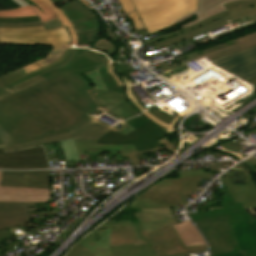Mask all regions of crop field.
<instances>
[{
	"instance_id": "obj_1",
	"label": "crop field",
	"mask_w": 256,
	"mask_h": 256,
	"mask_svg": "<svg viewBox=\"0 0 256 256\" xmlns=\"http://www.w3.org/2000/svg\"><path fill=\"white\" fill-rule=\"evenodd\" d=\"M92 88L83 74L66 75L33 85L1 101L12 102L50 134L71 128L99 108L86 92Z\"/></svg>"
},
{
	"instance_id": "obj_2",
	"label": "crop field",
	"mask_w": 256,
	"mask_h": 256,
	"mask_svg": "<svg viewBox=\"0 0 256 256\" xmlns=\"http://www.w3.org/2000/svg\"><path fill=\"white\" fill-rule=\"evenodd\" d=\"M228 196H221L222 210L190 214L191 219L205 233L211 254L239 252L230 225L251 223L241 203L234 204L225 185Z\"/></svg>"
},
{
	"instance_id": "obj_3",
	"label": "crop field",
	"mask_w": 256,
	"mask_h": 256,
	"mask_svg": "<svg viewBox=\"0 0 256 256\" xmlns=\"http://www.w3.org/2000/svg\"><path fill=\"white\" fill-rule=\"evenodd\" d=\"M179 179H162L152 186L127 207L133 208H166L187 205L185 197L192 194L202 178L210 181L211 174L203 169L178 171Z\"/></svg>"
},
{
	"instance_id": "obj_4",
	"label": "crop field",
	"mask_w": 256,
	"mask_h": 256,
	"mask_svg": "<svg viewBox=\"0 0 256 256\" xmlns=\"http://www.w3.org/2000/svg\"><path fill=\"white\" fill-rule=\"evenodd\" d=\"M68 132L71 131L48 135L9 101L4 104L0 102V146L27 143Z\"/></svg>"
},
{
	"instance_id": "obj_5",
	"label": "crop field",
	"mask_w": 256,
	"mask_h": 256,
	"mask_svg": "<svg viewBox=\"0 0 256 256\" xmlns=\"http://www.w3.org/2000/svg\"><path fill=\"white\" fill-rule=\"evenodd\" d=\"M135 7L150 34L175 25L174 20L196 10L197 0H155Z\"/></svg>"
},
{
	"instance_id": "obj_6",
	"label": "crop field",
	"mask_w": 256,
	"mask_h": 256,
	"mask_svg": "<svg viewBox=\"0 0 256 256\" xmlns=\"http://www.w3.org/2000/svg\"><path fill=\"white\" fill-rule=\"evenodd\" d=\"M124 123L127 125L121 131L113 127L112 131L106 133L98 141H79L94 144H134L137 151L161 146L155 139H159L164 134L143 116L129 119Z\"/></svg>"
},
{
	"instance_id": "obj_7",
	"label": "crop field",
	"mask_w": 256,
	"mask_h": 256,
	"mask_svg": "<svg viewBox=\"0 0 256 256\" xmlns=\"http://www.w3.org/2000/svg\"><path fill=\"white\" fill-rule=\"evenodd\" d=\"M139 245L132 228L94 231L78 242L66 256H112L111 246Z\"/></svg>"
},
{
	"instance_id": "obj_8",
	"label": "crop field",
	"mask_w": 256,
	"mask_h": 256,
	"mask_svg": "<svg viewBox=\"0 0 256 256\" xmlns=\"http://www.w3.org/2000/svg\"><path fill=\"white\" fill-rule=\"evenodd\" d=\"M108 64H111L110 60L102 54L92 50L77 48L71 57L60 66L37 75L9 90L1 92L5 93L7 91H11L8 94L1 95L0 99L36 83H40L61 75L84 73Z\"/></svg>"
},
{
	"instance_id": "obj_9",
	"label": "crop field",
	"mask_w": 256,
	"mask_h": 256,
	"mask_svg": "<svg viewBox=\"0 0 256 256\" xmlns=\"http://www.w3.org/2000/svg\"><path fill=\"white\" fill-rule=\"evenodd\" d=\"M225 7L227 11L212 16L199 24L181 30V32L184 34L176 35L167 40L157 42L159 48L202 35V32L208 29L213 31L240 18L256 15V0L237 1L226 4Z\"/></svg>"
},
{
	"instance_id": "obj_10",
	"label": "crop field",
	"mask_w": 256,
	"mask_h": 256,
	"mask_svg": "<svg viewBox=\"0 0 256 256\" xmlns=\"http://www.w3.org/2000/svg\"><path fill=\"white\" fill-rule=\"evenodd\" d=\"M0 43L53 46L54 49L69 48L70 36L64 26L45 31L43 26L31 28H0Z\"/></svg>"
},
{
	"instance_id": "obj_11",
	"label": "crop field",
	"mask_w": 256,
	"mask_h": 256,
	"mask_svg": "<svg viewBox=\"0 0 256 256\" xmlns=\"http://www.w3.org/2000/svg\"><path fill=\"white\" fill-rule=\"evenodd\" d=\"M94 113L89 115L79 123H77L71 129H69L72 131L71 133L40 140V141H35L27 144L7 146L5 147V150L6 152H8V151H13V150H18V149H23L28 147L40 146V145H45V144H49L57 141H63L73 137H78L79 139H84V140H98L103 134H105L107 131L113 128L97 120L96 118L98 117V115Z\"/></svg>"
},
{
	"instance_id": "obj_12",
	"label": "crop field",
	"mask_w": 256,
	"mask_h": 256,
	"mask_svg": "<svg viewBox=\"0 0 256 256\" xmlns=\"http://www.w3.org/2000/svg\"><path fill=\"white\" fill-rule=\"evenodd\" d=\"M75 49L51 51L39 61L19 68L0 77V82L8 89L37 74L47 71L67 60Z\"/></svg>"
},
{
	"instance_id": "obj_13",
	"label": "crop field",
	"mask_w": 256,
	"mask_h": 256,
	"mask_svg": "<svg viewBox=\"0 0 256 256\" xmlns=\"http://www.w3.org/2000/svg\"><path fill=\"white\" fill-rule=\"evenodd\" d=\"M132 225L139 244H151L158 256L207 249L206 246L184 249L171 227L144 235L140 223H132Z\"/></svg>"
},
{
	"instance_id": "obj_14",
	"label": "crop field",
	"mask_w": 256,
	"mask_h": 256,
	"mask_svg": "<svg viewBox=\"0 0 256 256\" xmlns=\"http://www.w3.org/2000/svg\"><path fill=\"white\" fill-rule=\"evenodd\" d=\"M0 169H49L43 146L5 153L0 147Z\"/></svg>"
},
{
	"instance_id": "obj_15",
	"label": "crop field",
	"mask_w": 256,
	"mask_h": 256,
	"mask_svg": "<svg viewBox=\"0 0 256 256\" xmlns=\"http://www.w3.org/2000/svg\"><path fill=\"white\" fill-rule=\"evenodd\" d=\"M216 66L251 80L256 77V46L211 60Z\"/></svg>"
},
{
	"instance_id": "obj_16",
	"label": "crop field",
	"mask_w": 256,
	"mask_h": 256,
	"mask_svg": "<svg viewBox=\"0 0 256 256\" xmlns=\"http://www.w3.org/2000/svg\"><path fill=\"white\" fill-rule=\"evenodd\" d=\"M36 210V204L0 203V243L18 236L7 228L32 222L28 212Z\"/></svg>"
},
{
	"instance_id": "obj_17",
	"label": "crop field",
	"mask_w": 256,
	"mask_h": 256,
	"mask_svg": "<svg viewBox=\"0 0 256 256\" xmlns=\"http://www.w3.org/2000/svg\"><path fill=\"white\" fill-rule=\"evenodd\" d=\"M88 93L100 106L99 109L115 116L120 120H125L137 114H140L131 106V104L122 94L98 89L90 90L88 91Z\"/></svg>"
},
{
	"instance_id": "obj_18",
	"label": "crop field",
	"mask_w": 256,
	"mask_h": 256,
	"mask_svg": "<svg viewBox=\"0 0 256 256\" xmlns=\"http://www.w3.org/2000/svg\"><path fill=\"white\" fill-rule=\"evenodd\" d=\"M44 1L54 9L58 17L53 21L44 23V27L46 30L96 17L87 7L77 1H73L60 8L55 7L53 4L58 3L61 0Z\"/></svg>"
},
{
	"instance_id": "obj_19",
	"label": "crop field",
	"mask_w": 256,
	"mask_h": 256,
	"mask_svg": "<svg viewBox=\"0 0 256 256\" xmlns=\"http://www.w3.org/2000/svg\"><path fill=\"white\" fill-rule=\"evenodd\" d=\"M0 186L50 189L48 171H2Z\"/></svg>"
},
{
	"instance_id": "obj_20",
	"label": "crop field",
	"mask_w": 256,
	"mask_h": 256,
	"mask_svg": "<svg viewBox=\"0 0 256 256\" xmlns=\"http://www.w3.org/2000/svg\"><path fill=\"white\" fill-rule=\"evenodd\" d=\"M48 199L50 190L0 187V202L48 203Z\"/></svg>"
},
{
	"instance_id": "obj_21",
	"label": "crop field",
	"mask_w": 256,
	"mask_h": 256,
	"mask_svg": "<svg viewBox=\"0 0 256 256\" xmlns=\"http://www.w3.org/2000/svg\"><path fill=\"white\" fill-rule=\"evenodd\" d=\"M95 88L124 94L121 78L114 72V64L84 73Z\"/></svg>"
},
{
	"instance_id": "obj_22",
	"label": "crop field",
	"mask_w": 256,
	"mask_h": 256,
	"mask_svg": "<svg viewBox=\"0 0 256 256\" xmlns=\"http://www.w3.org/2000/svg\"><path fill=\"white\" fill-rule=\"evenodd\" d=\"M134 215L141 222L145 234L176 225L169 208L141 209L140 212H136Z\"/></svg>"
},
{
	"instance_id": "obj_23",
	"label": "crop field",
	"mask_w": 256,
	"mask_h": 256,
	"mask_svg": "<svg viewBox=\"0 0 256 256\" xmlns=\"http://www.w3.org/2000/svg\"><path fill=\"white\" fill-rule=\"evenodd\" d=\"M61 143L66 161H80L79 154L82 151H119L123 148L135 149L133 145H94L79 143L77 138L66 140Z\"/></svg>"
},
{
	"instance_id": "obj_24",
	"label": "crop field",
	"mask_w": 256,
	"mask_h": 256,
	"mask_svg": "<svg viewBox=\"0 0 256 256\" xmlns=\"http://www.w3.org/2000/svg\"><path fill=\"white\" fill-rule=\"evenodd\" d=\"M252 224L232 226L240 253L216 254L211 256H244L242 251L256 248V220Z\"/></svg>"
},
{
	"instance_id": "obj_25",
	"label": "crop field",
	"mask_w": 256,
	"mask_h": 256,
	"mask_svg": "<svg viewBox=\"0 0 256 256\" xmlns=\"http://www.w3.org/2000/svg\"><path fill=\"white\" fill-rule=\"evenodd\" d=\"M246 179L247 185L239 186L231 184L228 177L224 178L235 203L241 202L245 207L256 206V180L252 174Z\"/></svg>"
},
{
	"instance_id": "obj_26",
	"label": "crop field",
	"mask_w": 256,
	"mask_h": 256,
	"mask_svg": "<svg viewBox=\"0 0 256 256\" xmlns=\"http://www.w3.org/2000/svg\"><path fill=\"white\" fill-rule=\"evenodd\" d=\"M172 229L184 248L200 247L206 245L200 233L189 221L182 222L176 226H172Z\"/></svg>"
},
{
	"instance_id": "obj_27",
	"label": "crop field",
	"mask_w": 256,
	"mask_h": 256,
	"mask_svg": "<svg viewBox=\"0 0 256 256\" xmlns=\"http://www.w3.org/2000/svg\"><path fill=\"white\" fill-rule=\"evenodd\" d=\"M254 45H256V36L252 37L250 39H247L245 41H242L238 44L229 46L227 48H222V49H219L217 51L209 52V53L204 54V55H200V56H197V57H194V58H191V59H187V60L181 61L177 64L171 65V66H168L166 62L160 63L159 65H160L162 71H166V70H169V69L179 67L183 63H186V62H189V61H192V60H196V59H199V58H202V57H205V56H207L208 59L210 60V59H213V58L225 55V54H229V53H232V52L244 50V49L249 48V47L254 46Z\"/></svg>"
},
{
	"instance_id": "obj_28",
	"label": "crop field",
	"mask_w": 256,
	"mask_h": 256,
	"mask_svg": "<svg viewBox=\"0 0 256 256\" xmlns=\"http://www.w3.org/2000/svg\"><path fill=\"white\" fill-rule=\"evenodd\" d=\"M144 113L148 118H150L156 125H158L166 133L172 132V128L176 120H178V118L180 117L179 115H173L170 117L166 113L158 110L154 105Z\"/></svg>"
},
{
	"instance_id": "obj_29",
	"label": "crop field",
	"mask_w": 256,
	"mask_h": 256,
	"mask_svg": "<svg viewBox=\"0 0 256 256\" xmlns=\"http://www.w3.org/2000/svg\"><path fill=\"white\" fill-rule=\"evenodd\" d=\"M204 251L169 255V256H180L186 254H196ZM113 256H156L155 252L150 245L145 246H128V247H112Z\"/></svg>"
},
{
	"instance_id": "obj_30",
	"label": "crop field",
	"mask_w": 256,
	"mask_h": 256,
	"mask_svg": "<svg viewBox=\"0 0 256 256\" xmlns=\"http://www.w3.org/2000/svg\"><path fill=\"white\" fill-rule=\"evenodd\" d=\"M29 1L35 4L32 7L42 18L43 22L50 21L56 18V15L53 12L52 8L48 4H46L44 1L42 0H29Z\"/></svg>"
},
{
	"instance_id": "obj_31",
	"label": "crop field",
	"mask_w": 256,
	"mask_h": 256,
	"mask_svg": "<svg viewBox=\"0 0 256 256\" xmlns=\"http://www.w3.org/2000/svg\"><path fill=\"white\" fill-rule=\"evenodd\" d=\"M233 1H237V0H225V1L215 5L213 7L203 11L202 13L196 15L199 19H197V20H195V21H193L191 23H188L186 25H183V26H181V28L183 29V28H185L187 26L196 24V23H198V22H200V21L210 17L211 15L218 14V13H220L222 11H225L226 9H225L223 4L230 3V2H233Z\"/></svg>"
},
{
	"instance_id": "obj_32",
	"label": "crop field",
	"mask_w": 256,
	"mask_h": 256,
	"mask_svg": "<svg viewBox=\"0 0 256 256\" xmlns=\"http://www.w3.org/2000/svg\"><path fill=\"white\" fill-rule=\"evenodd\" d=\"M242 142H245V141H243L242 139L236 137V138H234V139H232V140H230V141H228V142H226V143L216 147L215 149H219V150H222V151H226V152L232 153V154L236 155L238 158H240L242 160V159L245 158L244 156H242L239 153V151L243 149L242 148L243 147L242 144H240Z\"/></svg>"
},
{
	"instance_id": "obj_33",
	"label": "crop field",
	"mask_w": 256,
	"mask_h": 256,
	"mask_svg": "<svg viewBox=\"0 0 256 256\" xmlns=\"http://www.w3.org/2000/svg\"><path fill=\"white\" fill-rule=\"evenodd\" d=\"M36 12L30 7L19 8L11 11H0V17L34 16Z\"/></svg>"
},
{
	"instance_id": "obj_34",
	"label": "crop field",
	"mask_w": 256,
	"mask_h": 256,
	"mask_svg": "<svg viewBox=\"0 0 256 256\" xmlns=\"http://www.w3.org/2000/svg\"><path fill=\"white\" fill-rule=\"evenodd\" d=\"M221 1H223V0H198V10L189 14V15H187V16H185V17H183V18H181V19H179V20H177V21H175V23L178 24V23H180V22H182V21L200 13L201 11H203V10L207 9L208 7L214 5L218 2H221Z\"/></svg>"
},
{
	"instance_id": "obj_35",
	"label": "crop field",
	"mask_w": 256,
	"mask_h": 256,
	"mask_svg": "<svg viewBox=\"0 0 256 256\" xmlns=\"http://www.w3.org/2000/svg\"><path fill=\"white\" fill-rule=\"evenodd\" d=\"M98 30L99 28L78 33L77 35H78L80 44L92 43L95 40V38H97Z\"/></svg>"
},
{
	"instance_id": "obj_36",
	"label": "crop field",
	"mask_w": 256,
	"mask_h": 256,
	"mask_svg": "<svg viewBox=\"0 0 256 256\" xmlns=\"http://www.w3.org/2000/svg\"><path fill=\"white\" fill-rule=\"evenodd\" d=\"M127 66L128 65L115 64V72L123 79L125 87L134 84L128 76L130 74L127 71Z\"/></svg>"
},
{
	"instance_id": "obj_37",
	"label": "crop field",
	"mask_w": 256,
	"mask_h": 256,
	"mask_svg": "<svg viewBox=\"0 0 256 256\" xmlns=\"http://www.w3.org/2000/svg\"><path fill=\"white\" fill-rule=\"evenodd\" d=\"M131 86L125 88V96L130 101L132 106L137 109L140 113L144 111V107L142 106L141 102H139L138 97L133 93V91L130 89Z\"/></svg>"
},
{
	"instance_id": "obj_38",
	"label": "crop field",
	"mask_w": 256,
	"mask_h": 256,
	"mask_svg": "<svg viewBox=\"0 0 256 256\" xmlns=\"http://www.w3.org/2000/svg\"><path fill=\"white\" fill-rule=\"evenodd\" d=\"M40 20L38 16L35 17H21V18H0V23H22Z\"/></svg>"
},
{
	"instance_id": "obj_39",
	"label": "crop field",
	"mask_w": 256,
	"mask_h": 256,
	"mask_svg": "<svg viewBox=\"0 0 256 256\" xmlns=\"http://www.w3.org/2000/svg\"><path fill=\"white\" fill-rule=\"evenodd\" d=\"M132 227L131 221L106 222L95 230L103 228Z\"/></svg>"
},
{
	"instance_id": "obj_40",
	"label": "crop field",
	"mask_w": 256,
	"mask_h": 256,
	"mask_svg": "<svg viewBox=\"0 0 256 256\" xmlns=\"http://www.w3.org/2000/svg\"><path fill=\"white\" fill-rule=\"evenodd\" d=\"M43 25L42 21L32 22V23H22V24H0V27H30V26H39Z\"/></svg>"
},
{
	"instance_id": "obj_41",
	"label": "crop field",
	"mask_w": 256,
	"mask_h": 256,
	"mask_svg": "<svg viewBox=\"0 0 256 256\" xmlns=\"http://www.w3.org/2000/svg\"><path fill=\"white\" fill-rule=\"evenodd\" d=\"M129 16L133 22L134 29L143 28V25L136 12L131 13Z\"/></svg>"
},
{
	"instance_id": "obj_42",
	"label": "crop field",
	"mask_w": 256,
	"mask_h": 256,
	"mask_svg": "<svg viewBox=\"0 0 256 256\" xmlns=\"http://www.w3.org/2000/svg\"><path fill=\"white\" fill-rule=\"evenodd\" d=\"M229 179L233 184L246 185L247 183L245 176L229 177Z\"/></svg>"
},
{
	"instance_id": "obj_43",
	"label": "crop field",
	"mask_w": 256,
	"mask_h": 256,
	"mask_svg": "<svg viewBox=\"0 0 256 256\" xmlns=\"http://www.w3.org/2000/svg\"><path fill=\"white\" fill-rule=\"evenodd\" d=\"M125 11L126 12H131V11H134L135 8L134 6L132 5L131 1L130 0H120Z\"/></svg>"
},
{
	"instance_id": "obj_44",
	"label": "crop field",
	"mask_w": 256,
	"mask_h": 256,
	"mask_svg": "<svg viewBox=\"0 0 256 256\" xmlns=\"http://www.w3.org/2000/svg\"><path fill=\"white\" fill-rule=\"evenodd\" d=\"M245 210L251 220L256 219V207L245 208Z\"/></svg>"
},
{
	"instance_id": "obj_45",
	"label": "crop field",
	"mask_w": 256,
	"mask_h": 256,
	"mask_svg": "<svg viewBox=\"0 0 256 256\" xmlns=\"http://www.w3.org/2000/svg\"><path fill=\"white\" fill-rule=\"evenodd\" d=\"M244 162H245V164L251 166V165H255V164H256V159H255L254 156H253V157H251V158L245 160Z\"/></svg>"
},
{
	"instance_id": "obj_46",
	"label": "crop field",
	"mask_w": 256,
	"mask_h": 256,
	"mask_svg": "<svg viewBox=\"0 0 256 256\" xmlns=\"http://www.w3.org/2000/svg\"><path fill=\"white\" fill-rule=\"evenodd\" d=\"M245 256H256V249L250 250V251H245Z\"/></svg>"
},
{
	"instance_id": "obj_47",
	"label": "crop field",
	"mask_w": 256,
	"mask_h": 256,
	"mask_svg": "<svg viewBox=\"0 0 256 256\" xmlns=\"http://www.w3.org/2000/svg\"><path fill=\"white\" fill-rule=\"evenodd\" d=\"M15 3H17L19 6H27L28 4L24 2L23 0H13Z\"/></svg>"
},
{
	"instance_id": "obj_48",
	"label": "crop field",
	"mask_w": 256,
	"mask_h": 256,
	"mask_svg": "<svg viewBox=\"0 0 256 256\" xmlns=\"http://www.w3.org/2000/svg\"><path fill=\"white\" fill-rule=\"evenodd\" d=\"M134 2V4H140V3H143V2H147V1H151V0H132Z\"/></svg>"
},
{
	"instance_id": "obj_49",
	"label": "crop field",
	"mask_w": 256,
	"mask_h": 256,
	"mask_svg": "<svg viewBox=\"0 0 256 256\" xmlns=\"http://www.w3.org/2000/svg\"><path fill=\"white\" fill-rule=\"evenodd\" d=\"M6 88L0 83V92L5 90Z\"/></svg>"
},
{
	"instance_id": "obj_50",
	"label": "crop field",
	"mask_w": 256,
	"mask_h": 256,
	"mask_svg": "<svg viewBox=\"0 0 256 256\" xmlns=\"http://www.w3.org/2000/svg\"><path fill=\"white\" fill-rule=\"evenodd\" d=\"M253 132L256 133V129H254V130H252V131H250V132H248V133H246V134H244V135L247 136V135H249V134H251V133H253Z\"/></svg>"
},
{
	"instance_id": "obj_51",
	"label": "crop field",
	"mask_w": 256,
	"mask_h": 256,
	"mask_svg": "<svg viewBox=\"0 0 256 256\" xmlns=\"http://www.w3.org/2000/svg\"><path fill=\"white\" fill-rule=\"evenodd\" d=\"M249 82L252 83V84H254V85L256 86V78L253 79V80H251V81H249Z\"/></svg>"
},
{
	"instance_id": "obj_52",
	"label": "crop field",
	"mask_w": 256,
	"mask_h": 256,
	"mask_svg": "<svg viewBox=\"0 0 256 256\" xmlns=\"http://www.w3.org/2000/svg\"><path fill=\"white\" fill-rule=\"evenodd\" d=\"M255 174V177H256V171L253 172Z\"/></svg>"
},
{
	"instance_id": "obj_53",
	"label": "crop field",
	"mask_w": 256,
	"mask_h": 256,
	"mask_svg": "<svg viewBox=\"0 0 256 256\" xmlns=\"http://www.w3.org/2000/svg\"><path fill=\"white\" fill-rule=\"evenodd\" d=\"M186 256H188V255H186Z\"/></svg>"
}]
</instances>
